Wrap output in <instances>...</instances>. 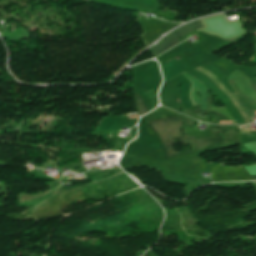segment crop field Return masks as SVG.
Returning <instances> with one entry per match:
<instances>
[{
    "instance_id": "8a807250",
    "label": "crop field",
    "mask_w": 256,
    "mask_h": 256,
    "mask_svg": "<svg viewBox=\"0 0 256 256\" xmlns=\"http://www.w3.org/2000/svg\"><path fill=\"white\" fill-rule=\"evenodd\" d=\"M198 71H200L201 73L205 74L207 77H209L212 82L218 87L220 88L224 93L230 91L219 79L217 76H215L212 72H210L207 68H205L204 66L196 69ZM226 95L228 96V98L233 102V104L239 109V111L244 115L245 118V122L249 123V122H253L252 117L255 115V112L252 111L251 109H249L248 107H246L244 104H242L234 90L226 93Z\"/></svg>"
},
{
    "instance_id": "ac0d7876",
    "label": "crop field",
    "mask_w": 256,
    "mask_h": 256,
    "mask_svg": "<svg viewBox=\"0 0 256 256\" xmlns=\"http://www.w3.org/2000/svg\"><path fill=\"white\" fill-rule=\"evenodd\" d=\"M199 28H203V25L200 22V20L193 22L191 24H188L186 26L180 27L176 32L172 33L167 38H165L164 40H162L161 42H159L158 44H156L154 47L150 49L153 50L157 55L162 51L166 50L167 48H169L170 46L180 42L177 40L178 38L182 37L183 35H185L186 33L192 30H196Z\"/></svg>"
},
{
    "instance_id": "34b2d1b8",
    "label": "crop field",
    "mask_w": 256,
    "mask_h": 256,
    "mask_svg": "<svg viewBox=\"0 0 256 256\" xmlns=\"http://www.w3.org/2000/svg\"><path fill=\"white\" fill-rule=\"evenodd\" d=\"M183 74L188 76L187 73H185V72H183ZM188 77H190V76H188ZM190 78H192L194 81H196L202 87V89L206 92V94L208 95V111H212V101H211L212 95H209V91L210 90L208 88H206L202 84V82H200L199 80H197V79H195L193 77H190ZM197 83L194 82V87H195L194 98H195L197 104H200V108L199 109H201L203 111H207V95L205 94V92L201 89V87ZM198 91L200 92V94L202 96L201 99H198L196 97V92H198Z\"/></svg>"
},
{
    "instance_id": "412701ff",
    "label": "crop field",
    "mask_w": 256,
    "mask_h": 256,
    "mask_svg": "<svg viewBox=\"0 0 256 256\" xmlns=\"http://www.w3.org/2000/svg\"><path fill=\"white\" fill-rule=\"evenodd\" d=\"M229 80H230L232 86L234 87L238 98L240 100H242L244 104H246L247 106H249L253 110H256V102L252 98L242 95L240 89L234 84V82L230 78H229Z\"/></svg>"
},
{
    "instance_id": "f4fd0767",
    "label": "crop field",
    "mask_w": 256,
    "mask_h": 256,
    "mask_svg": "<svg viewBox=\"0 0 256 256\" xmlns=\"http://www.w3.org/2000/svg\"><path fill=\"white\" fill-rule=\"evenodd\" d=\"M253 180H256V176H251Z\"/></svg>"
},
{
    "instance_id": "dd49c442",
    "label": "crop field",
    "mask_w": 256,
    "mask_h": 256,
    "mask_svg": "<svg viewBox=\"0 0 256 256\" xmlns=\"http://www.w3.org/2000/svg\"><path fill=\"white\" fill-rule=\"evenodd\" d=\"M132 116H138V115H132ZM132 116H128V117H132ZM134 118V117H133Z\"/></svg>"
},
{
    "instance_id": "e52e79f7",
    "label": "crop field",
    "mask_w": 256,
    "mask_h": 256,
    "mask_svg": "<svg viewBox=\"0 0 256 256\" xmlns=\"http://www.w3.org/2000/svg\"><path fill=\"white\" fill-rule=\"evenodd\" d=\"M254 184H256V182H254Z\"/></svg>"
}]
</instances>
